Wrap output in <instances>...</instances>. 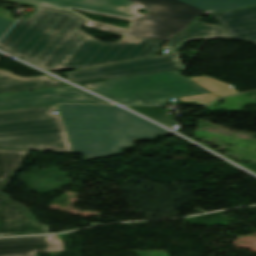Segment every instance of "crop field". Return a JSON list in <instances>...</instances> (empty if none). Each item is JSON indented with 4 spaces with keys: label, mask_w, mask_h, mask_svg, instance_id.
Instances as JSON below:
<instances>
[{
    "label": "crop field",
    "mask_w": 256,
    "mask_h": 256,
    "mask_svg": "<svg viewBox=\"0 0 256 256\" xmlns=\"http://www.w3.org/2000/svg\"><path fill=\"white\" fill-rule=\"evenodd\" d=\"M86 22L74 12L37 5L1 40L0 49L53 71L152 56L163 43L126 36L101 42L80 30Z\"/></svg>",
    "instance_id": "8a807250"
},
{
    "label": "crop field",
    "mask_w": 256,
    "mask_h": 256,
    "mask_svg": "<svg viewBox=\"0 0 256 256\" xmlns=\"http://www.w3.org/2000/svg\"><path fill=\"white\" fill-rule=\"evenodd\" d=\"M66 10L131 20L124 29L88 19L86 26L108 32L166 41L186 29L200 14L256 5V0H18ZM148 10L137 13L138 8ZM78 15V14H77ZM80 15V14H79Z\"/></svg>",
    "instance_id": "ac0d7876"
},
{
    "label": "crop field",
    "mask_w": 256,
    "mask_h": 256,
    "mask_svg": "<svg viewBox=\"0 0 256 256\" xmlns=\"http://www.w3.org/2000/svg\"><path fill=\"white\" fill-rule=\"evenodd\" d=\"M63 123L73 151L83 160L123 153L132 138L154 139L169 133L117 106L61 104Z\"/></svg>",
    "instance_id": "34b2d1b8"
},
{
    "label": "crop field",
    "mask_w": 256,
    "mask_h": 256,
    "mask_svg": "<svg viewBox=\"0 0 256 256\" xmlns=\"http://www.w3.org/2000/svg\"><path fill=\"white\" fill-rule=\"evenodd\" d=\"M83 86L121 104H166L174 97L204 104L218 98L177 71L112 79Z\"/></svg>",
    "instance_id": "412701ff"
},
{
    "label": "crop field",
    "mask_w": 256,
    "mask_h": 256,
    "mask_svg": "<svg viewBox=\"0 0 256 256\" xmlns=\"http://www.w3.org/2000/svg\"><path fill=\"white\" fill-rule=\"evenodd\" d=\"M57 105L0 111V148L73 152Z\"/></svg>",
    "instance_id": "f4fd0767"
},
{
    "label": "crop field",
    "mask_w": 256,
    "mask_h": 256,
    "mask_svg": "<svg viewBox=\"0 0 256 256\" xmlns=\"http://www.w3.org/2000/svg\"><path fill=\"white\" fill-rule=\"evenodd\" d=\"M205 38L231 39L222 27L196 22L190 30L166 44L163 49H170L166 55L80 70L66 73L65 76L80 83L99 78L112 79L183 69L179 59L180 47L190 40Z\"/></svg>",
    "instance_id": "dd49c442"
},
{
    "label": "crop field",
    "mask_w": 256,
    "mask_h": 256,
    "mask_svg": "<svg viewBox=\"0 0 256 256\" xmlns=\"http://www.w3.org/2000/svg\"><path fill=\"white\" fill-rule=\"evenodd\" d=\"M29 151L0 149V192L9 177L18 170ZM48 225H40L28 210L0 193V236L48 233Z\"/></svg>",
    "instance_id": "e52e79f7"
},
{
    "label": "crop field",
    "mask_w": 256,
    "mask_h": 256,
    "mask_svg": "<svg viewBox=\"0 0 256 256\" xmlns=\"http://www.w3.org/2000/svg\"><path fill=\"white\" fill-rule=\"evenodd\" d=\"M57 103H109L72 86L0 96V110L53 105Z\"/></svg>",
    "instance_id": "d8731c3e"
},
{
    "label": "crop field",
    "mask_w": 256,
    "mask_h": 256,
    "mask_svg": "<svg viewBox=\"0 0 256 256\" xmlns=\"http://www.w3.org/2000/svg\"><path fill=\"white\" fill-rule=\"evenodd\" d=\"M64 250L63 241L48 236L0 239V256H35L34 252Z\"/></svg>",
    "instance_id": "5a996713"
},
{
    "label": "crop field",
    "mask_w": 256,
    "mask_h": 256,
    "mask_svg": "<svg viewBox=\"0 0 256 256\" xmlns=\"http://www.w3.org/2000/svg\"><path fill=\"white\" fill-rule=\"evenodd\" d=\"M213 16L233 38L256 44V7L214 14Z\"/></svg>",
    "instance_id": "3316defc"
},
{
    "label": "crop field",
    "mask_w": 256,
    "mask_h": 256,
    "mask_svg": "<svg viewBox=\"0 0 256 256\" xmlns=\"http://www.w3.org/2000/svg\"><path fill=\"white\" fill-rule=\"evenodd\" d=\"M67 85L45 75L35 78L16 76L0 69V95Z\"/></svg>",
    "instance_id": "28ad6ade"
},
{
    "label": "crop field",
    "mask_w": 256,
    "mask_h": 256,
    "mask_svg": "<svg viewBox=\"0 0 256 256\" xmlns=\"http://www.w3.org/2000/svg\"><path fill=\"white\" fill-rule=\"evenodd\" d=\"M133 110H136L142 114H145L169 127L177 125L173 118L168 117L166 110L162 109L163 106H127Z\"/></svg>",
    "instance_id": "d1516ede"
},
{
    "label": "crop field",
    "mask_w": 256,
    "mask_h": 256,
    "mask_svg": "<svg viewBox=\"0 0 256 256\" xmlns=\"http://www.w3.org/2000/svg\"><path fill=\"white\" fill-rule=\"evenodd\" d=\"M5 1H10V2H15V3H19V4H24V5H29V6L36 7L35 4H29V3L18 2V1H12V0H5ZM13 14H14L13 12H10V11H7V10H4V9H1V8H0V16H2V17H4V18H7V19H10V20L15 21L17 18L12 17Z\"/></svg>",
    "instance_id": "22f410ed"
},
{
    "label": "crop field",
    "mask_w": 256,
    "mask_h": 256,
    "mask_svg": "<svg viewBox=\"0 0 256 256\" xmlns=\"http://www.w3.org/2000/svg\"><path fill=\"white\" fill-rule=\"evenodd\" d=\"M12 24L13 21L0 17V38L5 34Z\"/></svg>",
    "instance_id": "cbeb9de0"
}]
</instances>
